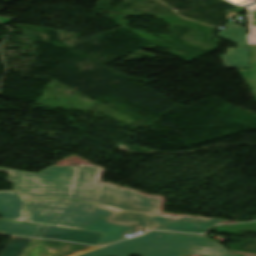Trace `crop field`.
Returning <instances> with one entry per match:
<instances>
[{"instance_id":"obj_5","label":"crop field","mask_w":256,"mask_h":256,"mask_svg":"<svg viewBox=\"0 0 256 256\" xmlns=\"http://www.w3.org/2000/svg\"><path fill=\"white\" fill-rule=\"evenodd\" d=\"M236 14V12H231L226 18L229 19ZM225 25L226 30L219 32L217 37L236 43L237 48H227V55H220L224 67L249 68L246 28L231 21H228Z\"/></svg>"},{"instance_id":"obj_1","label":"crop field","mask_w":256,"mask_h":256,"mask_svg":"<svg viewBox=\"0 0 256 256\" xmlns=\"http://www.w3.org/2000/svg\"><path fill=\"white\" fill-rule=\"evenodd\" d=\"M26 199L27 222L104 233L96 245H107L123 239L137 227H147L108 222L115 210L91 203L62 198L39 200L26 196Z\"/></svg>"},{"instance_id":"obj_12","label":"crop field","mask_w":256,"mask_h":256,"mask_svg":"<svg viewBox=\"0 0 256 256\" xmlns=\"http://www.w3.org/2000/svg\"><path fill=\"white\" fill-rule=\"evenodd\" d=\"M109 221L148 225L147 229H150L152 226L148 218L145 217L144 215L129 214L117 211H115V213L111 216Z\"/></svg>"},{"instance_id":"obj_8","label":"crop field","mask_w":256,"mask_h":256,"mask_svg":"<svg viewBox=\"0 0 256 256\" xmlns=\"http://www.w3.org/2000/svg\"><path fill=\"white\" fill-rule=\"evenodd\" d=\"M103 234L44 226L39 237L96 244Z\"/></svg>"},{"instance_id":"obj_14","label":"crop field","mask_w":256,"mask_h":256,"mask_svg":"<svg viewBox=\"0 0 256 256\" xmlns=\"http://www.w3.org/2000/svg\"><path fill=\"white\" fill-rule=\"evenodd\" d=\"M250 34L248 35L249 44L256 45V4L248 7Z\"/></svg>"},{"instance_id":"obj_17","label":"crop field","mask_w":256,"mask_h":256,"mask_svg":"<svg viewBox=\"0 0 256 256\" xmlns=\"http://www.w3.org/2000/svg\"><path fill=\"white\" fill-rule=\"evenodd\" d=\"M234 256H243V255H237V254H234Z\"/></svg>"},{"instance_id":"obj_11","label":"crop field","mask_w":256,"mask_h":256,"mask_svg":"<svg viewBox=\"0 0 256 256\" xmlns=\"http://www.w3.org/2000/svg\"><path fill=\"white\" fill-rule=\"evenodd\" d=\"M32 239L11 237L0 256H21Z\"/></svg>"},{"instance_id":"obj_4","label":"crop field","mask_w":256,"mask_h":256,"mask_svg":"<svg viewBox=\"0 0 256 256\" xmlns=\"http://www.w3.org/2000/svg\"><path fill=\"white\" fill-rule=\"evenodd\" d=\"M77 166L51 167L39 174L0 168L8 172L6 179L14 183V191L30 197L70 199Z\"/></svg>"},{"instance_id":"obj_10","label":"crop field","mask_w":256,"mask_h":256,"mask_svg":"<svg viewBox=\"0 0 256 256\" xmlns=\"http://www.w3.org/2000/svg\"><path fill=\"white\" fill-rule=\"evenodd\" d=\"M42 226L0 219V233L36 237Z\"/></svg>"},{"instance_id":"obj_9","label":"crop field","mask_w":256,"mask_h":256,"mask_svg":"<svg viewBox=\"0 0 256 256\" xmlns=\"http://www.w3.org/2000/svg\"><path fill=\"white\" fill-rule=\"evenodd\" d=\"M53 256H74L98 247L38 239Z\"/></svg>"},{"instance_id":"obj_6","label":"crop field","mask_w":256,"mask_h":256,"mask_svg":"<svg viewBox=\"0 0 256 256\" xmlns=\"http://www.w3.org/2000/svg\"><path fill=\"white\" fill-rule=\"evenodd\" d=\"M152 222L151 229L173 230L192 233H203L210 226L220 220L168 217V216H147Z\"/></svg>"},{"instance_id":"obj_16","label":"crop field","mask_w":256,"mask_h":256,"mask_svg":"<svg viewBox=\"0 0 256 256\" xmlns=\"http://www.w3.org/2000/svg\"><path fill=\"white\" fill-rule=\"evenodd\" d=\"M224 1L228 2L229 4H231L233 6L239 7V6L251 3V2H255L256 0H224Z\"/></svg>"},{"instance_id":"obj_15","label":"crop field","mask_w":256,"mask_h":256,"mask_svg":"<svg viewBox=\"0 0 256 256\" xmlns=\"http://www.w3.org/2000/svg\"><path fill=\"white\" fill-rule=\"evenodd\" d=\"M22 256H51L35 239Z\"/></svg>"},{"instance_id":"obj_2","label":"crop field","mask_w":256,"mask_h":256,"mask_svg":"<svg viewBox=\"0 0 256 256\" xmlns=\"http://www.w3.org/2000/svg\"><path fill=\"white\" fill-rule=\"evenodd\" d=\"M187 253L230 256L224 247L206 236L161 231H151L78 256H182Z\"/></svg>"},{"instance_id":"obj_3","label":"crop field","mask_w":256,"mask_h":256,"mask_svg":"<svg viewBox=\"0 0 256 256\" xmlns=\"http://www.w3.org/2000/svg\"><path fill=\"white\" fill-rule=\"evenodd\" d=\"M97 168L79 167L71 200L96 203L117 210L156 215L160 199L142 197L110 185H96Z\"/></svg>"},{"instance_id":"obj_7","label":"crop field","mask_w":256,"mask_h":256,"mask_svg":"<svg viewBox=\"0 0 256 256\" xmlns=\"http://www.w3.org/2000/svg\"><path fill=\"white\" fill-rule=\"evenodd\" d=\"M25 196L14 191H0V216L25 221Z\"/></svg>"},{"instance_id":"obj_13","label":"crop field","mask_w":256,"mask_h":256,"mask_svg":"<svg viewBox=\"0 0 256 256\" xmlns=\"http://www.w3.org/2000/svg\"><path fill=\"white\" fill-rule=\"evenodd\" d=\"M251 53V69H239L244 79L250 87H255V90H252L256 94V46H250Z\"/></svg>"}]
</instances>
